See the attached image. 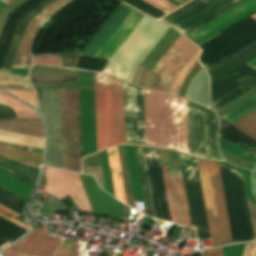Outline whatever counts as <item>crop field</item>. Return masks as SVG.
<instances>
[{
  "label": "crop field",
  "instance_id": "crop-field-17",
  "mask_svg": "<svg viewBox=\"0 0 256 256\" xmlns=\"http://www.w3.org/2000/svg\"><path fill=\"white\" fill-rule=\"evenodd\" d=\"M159 151H160L162 165L168 164L166 150L159 149ZM163 169H164L167 194H168V200H169V206H170V214H171V217H175L176 223L179 224L168 165L163 166Z\"/></svg>",
  "mask_w": 256,
  "mask_h": 256
},
{
  "label": "crop field",
  "instance_id": "crop-field-15",
  "mask_svg": "<svg viewBox=\"0 0 256 256\" xmlns=\"http://www.w3.org/2000/svg\"><path fill=\"white\" fill-rule=\"evenodd\" d=\"M185 97L207 106L206 75L203 69L192 81Z\"/></svg>",
  "mask_w": 256,
  "mask_h": 256
},
{
  "label": "crop field",
  "instance_id": "crop-field-26",
  "mask_svg": "<svg viewBox=\"0 0 256 256\" xmlns=\"http://www.w3.org/2000/svg\"><path fill=\"white\" fill-rule=\"evenodd\" d=\"M46 203L49 206H51L55 211L66 210L64 204L61 201H59V200H57L55 198H52V199L46 201Z\"/></svg>",
  "mask_w": 256,
  "mask_h": 256
},
{
  "label": "crop field",
  "instance_id": "crop-field-2",
  "mask_svg": "<svg viewBox=\"0 0 256 256\" xmlns=\"http://www.w3.org/2000/svg\"><path fill=\"white\" fill-rule=\"evenodd\" d=\"M165 94L166 148L189 154L187 100ZM144 103L146 145L165 148L163 93L144 89Z\"/></svg>",
  "mask_w": 256,
  "mask_h": 256
},
{
  "label": "crop field",
  "instance_id": "crop-field-22",
  "mask_svg": "<svg viewBox=\"0 0 256 256\" xmlns=\"http://www.w3.org/2000/svg\"><path fill=\"white\" fill-rule=\"evenodd\" d=\"M34 64L49 65L56 67H63L58 55L44 54L35 56Z\"/></svg>",
  "mask_w": 256,
  "mask_h": 256
},
{
  "label": "crop field",
  "instance_id": "crop-field-12",
  "mask_svg": "<svg viewBox=\"0 0 256 256\" xmlns=\"http://www.w3.org/2000/svg\"><path fill=\"white\" fill-rule=\"evenodd\" d=\"M174 188L180 224L190 226V219L185 196L183 178L181 170L170 171Z\"/></svg>",
  "mask_w": 256,
  "mask_h": 256
},
{
  "label": "crop field",
  "instance_id": "crop-field-5",
  "mask_svg": "<svg viewBox=\"0 0 256 256\" xmlns=\"http://www.w3.org/2000/svg\"><path fill=\"white\" fill-rule=\"evenodd\" d=\"M197 50L180 36L154 67L145 87L168 93L178 73Z\"/></svg>",
  "mask_w": 256,
  "mask_h": 256
},
{
  "label": "crop field",
  "instance_id": "crop-field-25",
  "mask_svg": "<svg viewBox=\"0 0 256 256\" xmlns=\"http://www.w3.org/2000/svg\"><path fill=\"white\" fill-rule=\"evenodd\" d=\"M75 244H76V241L74 243H71V242L67 243L63 241L62 245L60 246L55 256H68Z\"/></svg>",
  "mask_w": 256,
  "mask_h": 256
},
{
  "label": "crop field",
  "instance_id": "crop-field-4",
  "mask_svg": "<svg viewBox=\"0 0 256 256\" xmlns=\"http://www.w3.org/2000/svg\"><path fill=\"white\" fill-rule=\"evenodd\" d=\"M197 161L207 220L216 219L215 215H221L222 213V216H216L217 220L208 221L210 236L211 239H213L214 246L233 243L226 208V202L223 192V186L221 181V175L219 170V164L218 162L212 161L219 196V202L221 207V213L212 169V163L211 161L202 160L198 158Z\"/></svg>",
  "mask_w": 256,
  "mask_h": 256
},
{
  "label": "crop field",
  "instance_id": "crop-field-27",
  "mask_svg": "<svg viewBox=\"0 0 256 256\" xmlns=\"http://www.w3.org/2000/svg\"><path fill=\"white\" fill-rule=\"evenodd\" d=\"M243 256H256V243L247 244Z\"/></svg>",
  "mask_w": 256,
  "mask_h": 256
},
{
  "label": "crop field",
  "instance_id": "crop-field-10",
  "mask_svg": "<svg viewBox=\"0 0 256 256\" xmlns=\"http://www.w3.org/2000/svg\"><path fill=\"white\" fill-rule=\"evenodd\" d=\"M60 242V239L47 235L42 227L2 254L6 256H53Z\"/></svg>",
  "mask_w": 256,
  "mask_h": 256
},
{
  "label": "crop field",
  "instance_id": "crop-field-30",
  "mask_svg": "<svg viewBox=\"0 0 256 256\" xmlns=\"http://www.w3.org/2000/svg\"><path fill=\"white\" fill-rule=\"evenodd\" d=\"M253 191H254V193L256 195V169H255V171L253 173Z\"/></svg>",
  "mask_w": 256,
  "mask_h": 256
},
{
  "label": "crop field",
  "instance_id": "crop-field-11",
  "mask_svg": "<svg viewBox=\"0 0 256 256\" xmlns=\"http://www.w3.org/2000/svg\"><path fill=\"white\" fill-rule=\"evenodd\" d=\"M68 0H59L45 11L37 15L30 22L24 39L22 41L21 47L15 59L14 65L12 68H23L27 69L31 62L30 49L33 44L34 37L40 27V25L47 19V17L58 7L66 3ZM69 2V1H68ZM62 7V6H61ZM59 9V8H58Z\"/></svg>",
  "mask_w": 256,
  "mask_h": 256
},
{
  "label": "crop field",
  "instance_id": "crop-field-18",
  "mask_svg": "<svg viewBox=\"0 0 256 256\" xmlns=\"http://www.w3.org/2000/svg\"><path fill=\"white\" fill-rule=\"evenodd\" d=\"M231 125L256 140V110Z\"/></svg>",
  "mask_w": 256,
  "mask_h": 256
},
{
  "label": "crop field",
  "instance_id": "crop-field-24",
  "mask_svg": "<svg viewBox=\"0 0 256 256\" xmlns=\"http://www.w3.org/2000/svg\"><path fill=\"white\" fill-rule=\"evenodd\" d=\"M18 214L5 208L4 206L0 205V216L5 218L6 220L18 225L19 227L25 229V230H29L30 227L14 220L13 218L16 217Z\"/></svg>",
  "mask_w": 256,
  "mask_h": 256
},
{
  "label": "crop field",
  "instance_id": "crop-field-33",
  "mask_svg": "<svg viewBox=\"0 0 256 256\" xmlns=\"http://www.w3.org/2000/svg\"><path fill=\"white\" fill-rule=\"evenodd\" d=\"M4 1H6V2H11L12 0H4ZM7 3H5V2H3V1H1L0 0V9L3 7V6H5Z\"/></svg>",
  "mask_w": 256,
  "mask_h": 256
},
{
  "label": "crop field",
  "instance_id": "crop-field-1",
  "mask_svg": "<svg viewBox=\"0 0 256 256\" xmlns=\"http://www.w3.org/2000/svg\"><path fill=\"white\" fill-rule=\"evenodd\" d=\"M130 9L120 3L86 44L81 54L95 56ZM143 16L131 9L96 56L110 59ZM169 28L144 16L109 60L104 72L131 81L137 66Z\"/></svg>",
  "mask_w": 256,
  "mask_h": 256
},
{
  "label": "crop field",
  "instance_id": "crop-field-6",
  "mask_svg": "<svg viewBox=\"0 0 256 256\" xmlns=\"http://www.w3.org/2000/svg\"><path fill=\"white\" fill-rule=\"evenodd\" d=\"M63 168L68 169L65 89H60ZM70 170L81 172L78 90L67 89Z\"/></svg>",
  "mask_w": 256,
  "mask_h": 256
},
{
  "label": "crop field",
  "instance_id": "crop-field-35",
  "mask_svg": "<svg viewBox=\"0 0 256 256\" xmlns=\"http://www.w3.org/2000/svg\"><path fill=\"white\" fill-rule=\"evenodd\" d=\"M176 1H178V2L183 4V3L187 2L188 0H176Z\"/></svg>",
  "mask_w": 256,
  "mask_h": 256
},
{
  "label": "crop field",
  "instance_id": "crop-field-21",
  "mask_svg": "<svg viewBox=\"0 0 256 256\" xmlns=\"http://www.w3.org/2000/svg\"><path fill=\"white\" fill-rule=\"evenodd\" d=\"M254 109H256V101L251 99L223 118L231 124L236 120L240 119L241 117L245 116L249 112L253 111Z\"/></svg>",
  "mask_w": 256,
  "mask_h": 256
},
{
  "label": "crop field",
  "instance_id": "crop-field-14",
  "mask_svg": "<svg viewBox=\"0 0 256 256\" xmlns=\"http://www.w3.org/2000/svg\"><path fill=\"white\" fill-rule=\"evenodd\" d=\"M107 152H108V158H109L116 198L126 203L124 191H123L122 179H121L122 174H121V169H120V164L118 159L117 148L114 147V148L108 149ZM119 172L121 174L120 176H119Z\"/></svg>",
  "mask_w": 256,
  "mask_h": 256
},
{
  "label": "crop field",
  "instance_id": "crop-field-8",
  "mask_svg": "<svg viewBox=\"0 0 256 256\" xmlns=\"http://www.w3.org/2000/svg\"><path fill=\"white\" fill-rule=\"evenodd\" d=\"M79 176V173L46 167L45 177L47 179V186L44 192L55 196L59 200L68 194L77 204L80 211L92 213Z\"/></svg>",
  "mask_w": 256,
  "mask_h": 256
},
{
  "label": "crop field",
  "instance_id": "crop-field-20",
  "mask_svg": "<svg viewBox=\"0 0 256 256\" xmlns=\"http://www.w3.org/2000/svg\"><path fill=\"white\" fill-rule=\"evenodd\" d=\"M0 87L13 90L34 91L27 79L0 75Z\"/></svg>",
  "mask_w": 256,
  "mask_h": 256
},
{
  "label": "crop field",
  "instance_id": "crop-field-29",
  "mask_svg": "<svg viewBox=\"0 0 256 256\" xmlns=\"http://www.w3.org/2000/svg\"><path fill=\"white\" fill-rule=\"evenodd\" d=\"M122 216L129 217V207L123 205Z\"/></svg>",
  "mask_w": 256,
  "mask_h": 256
},
{
  "label": "crop field",
  "instance_id": "crop-field-23",
  "mask_svg": "<svg viewBox=\"0 0 256 256\" xmlns=\"http://www.w3.org/2000/svg\"><path fill=\"white\" fill-rule=\"evenodd\" d=\"M141 1L145 2L146 4L156 8L157 10L165 14L170 12L174 8L178 7L167 0H141Z\"/></svg>",
  "mask_w": 256,
  "mask_h": 256
},
{
  "label": "crop field",
  "instance_id": "crop-field-9",
  "mask_svg": "<svg viewBox=\"0 0 256 256\" xmlns=\"http://www.w3.org/2000/svg\"><path fill=\"white\" fill-rule=\"evenodd\" d=\"M254 11L256 0H246L188 36L200 44ZM191 38L189 39L192 40ZM195 41L193 42L196 43Z\"/></svg>",
  "mask_w": 256,
  "mask_h": 256
},
{
  "label": "crop field",
  "instance_id": "crop-field-36",
  "mask_svg": "<svg viewBox=\"0 0 256 256\" xmlns=\"http://www.w3.org/2000/svg\"><path fill=\"white\" fill-rule=\"evenodd\" d=\"M250 17H252L253 19L256 20V14H254V15H252V16H250Z\"/></svg>",
  "mask_w": 256,
  "mask_h": 256
},
{
  "label": "crop field",
  "instance_id": "crop-field-13",
  "mask_svg": "<svg viewBox=\"0 0 256 256\" xmlns=\"http://www.w3.org/2000/svg\"><path fill=\"white\" fill-rule=\"evenodd\" d=\"M0 156L35 168L42 162L43 154L21 151L0 146Z\"/></svg>",
  "mask_w": 256,
  "mask_h": 256
},
{
  "label": "crop field",
  "instance_id": "crop-field-3",
  "mask_svg": "<svg viewBox=\"0 0 256 256\" xmlns=\"http://www.w3.org/2000/svg\"><path fill=\"white\" fill-rule=\"evenodd\" d=\"M97 152L125 144L123 81L95 72Z\"/></svg>",
  "mask_w": 256,
  "mask_h": 256
},
{
  "label": "crop field",
  "instance_id": "crop-field-19",
  "mask_svg": "<svg viewBox=\"0 0 256 256\" xmlns=\"http://www.w3.org/2000/svg\"><path fill=\"white\" fill-rule=\"evenodd\" d=\"M117 148H118L119 158H120L122 172H123V180H124V185H125V190H126L127 202H128V204L135 205L134 200H133L131 183H130L125 148H124V146H117Z\"/></svg>",
  "mask_w": 256,
  "mask_h": 256
},
{
  "label": "crop field",
  "instance_id": "crop-field-34",
  "mask_svg": "<svg viewBox=\"0 0 256 256\" xmlns=\"http://www.w3.org/2000/svg\"><path fill=\"white\" fill-rule=\"evenodd\" d=\"M247 64H249V65H251V66L255 67V66H256V58H255V59H253V60H251V61H250V62H248Z\"/></svg>",
  "mask_w": 256,
  "mask_h": 256
},
{
  "label": "crop field",
  "instance_id": "crop-field-28",
  "mask_svg": "<svg viewBox=\"0 0 256 256\" xmlns=\"http://www.w3.org/2000/svg\"><path fill=\"white\" fill-rule=\"evenodd\" d=\"M203 256H223V252L221 248L212 249L204 252Z\"/></svg>",
  "mask_w": 256,
  "mask_h": 256
},
{
  "label": "crop field",
  "instance_id": "crop-field-16",
  "mask_svg": "<svg viewBox=\"0 0 256 256\" xmlns=\"http://www.w3.org/2000/svg\"><path fill=\"white\" fill-rule=\"evenodd\" d=\"M0 104L11 107L17 114L16 117L40 118L34 110L12 99L2 91H0Z\"/></svg>",
  "mask_w": 256,
  "mask_h": 256
},
{
  "label": "crop field",
  "instance_id": "crop-field-32",
  "mask_svg": "<svg viewBox=\"0 0 256 256\" xmlns=\"http://www.w3.org/2000/svg\"><path fill=\"white\" fill-rule=\"evenodd\" d=\"M78 244H76L75 248L73 249V251L71 252L70 256H78L77 253H75L76 249L78 248Z\"/></svg>",
  "mask_w": 256,
  "mask_h": 256
},
{
  "label": "crop field",
  "instance_id": "crop-field-31",
  "mask_svg": "<svg viewBox=\"0 0 256 256\" xmlns=\"http://www.w3.org/2000/svg\"><path fill=\"white\" fill-rule=\"evenodd\" d=\"M1 146H6V147H11V148H16V149H21L23 150L24 148L22 147H17V146H12V145H7V144H3V143H0Z\"/></svg>",
  "mask_w": 256,
  "mask_h": 256
},
{
  "label": "crop field",
  "instance_id": "crop-field-7",
  "mask_svg": "<svg viewBox=\"0 0 256 256\" xmlns=\"http://www.w3.org/2000/svg\"><path fill=\"white\" fill-rule=\"evenodd\" d=\"M48 136L46 164L62 168L59 89L42 88Z\"/></svg>",
  "mask_w": 256,
  "mask_h": 256
}]
</instances>
